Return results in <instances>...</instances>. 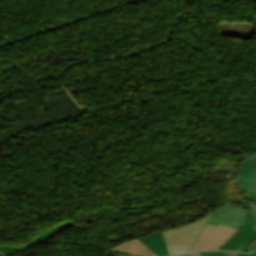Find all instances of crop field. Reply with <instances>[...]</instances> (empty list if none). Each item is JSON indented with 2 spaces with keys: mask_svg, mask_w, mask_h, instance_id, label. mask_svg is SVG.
Masks as SVG:
<instances>
[{
  "mask_svg": "<svg viewBox=\"0 0 256 256\" xmlns=\"http://www.w3.org/2000/svg\"><path fill=\"white\" fill-rule=\"evenodd\" d=\"M0 256H2V255H0Z\"/></svg>",
  "mask_w": 256,
  "mask_h": 256,
  "instance_id": "214f88e0",
  "label": "crop field"
},
{
  "mask_svg": "<svg viewBox=\"0 0 256 256\" xmlns=\"http://www.w3.org/2000/svg\"><path fill=\"white\" fill-rule=\"evenodd\" d=\"M238 230L221 224L218 227L208 224L196 240L191 251L217 249Z\"/></svg>",
  "mask_w": 256,
  "mask_h": 256,
  "instance_id": "ac0d7876",
  "label": "crop field"
},
{
  "mask_svg": "<svg viewBox=\"0 0 256 256\" xmlns=\"http://www.w3.org/2000/svg\"><path fill=\"white\" fill-rule=\"evenodd\" d=\"M236 180L242 190L251 188L256 181V163L244 160Z\"/></svg>",
  "mask_w": 256,
  "mask_h": 256,
  "instance_id": "dd49c442",
  "label": "crop field"
},
{
  "mask_svg": "<svg viewBox=\"0 0 256 256\" xmlns=\"http://www.w3.org/2000/svg\"><path fill=\"white\" fill-rule=\"evenodd\" d=\"M18 249H20V248L0 245V250L4 253H12Z\"/></svg>",
  "mask_w": 256,
  "mask_h": 256,
  "instance_id": "3316defc",
  "label": "crop field"
},
{
  "mask_svg": "<svg viewBox=\"0 0 256 256\" xmlns=\"http://www.w3.org/2000/svg\"><path fill=\"white\" fill-rule=\"evenodd\" d=\"M214 256H225L223 251H212Z\"/></svg>",
  "mask_w": 256,
  "mask_h": 256,
  "instance_id": "cbeb9de0",
  "label": "crop field"
},
{
  "mask_svg": "<svg viewBox=\"0 0 256 256\" xmlns=\"http://www.w3.org/2000/svg\"><path fill=\"white\" fill-rule=\"evenodd\" d=\"M213 212L189 224L171 230L162 231L170 254L173 255L189 251L196 238L210 220Z\"/></svg>",
  "mask_w": 256,
  "mask_h": 256,
  "instance_id": "8a807250",
  "label": "crop field"
},
{
  "mask_svg": "<svg viewBox=\"0 0 256 256\" xmlns=\"http://www.w3.org/2000/svg\"><path fill=\"white\" fill-rule=\"evenodd\" d=\"M107 255H111V254H107ZM111 256H125V255H111Z\"/></svg>",
  "mask_w": 256,
  "mask_h": 256,
  "instance_id": "bc2a9ffb",
  "label": "crop field"
},
{
  "mask_svg": "<svg viewBox=\"0 0 256 256\" xmlns=\"http://www.w3.org/2000/svg\"><path fill=\"white\" fill-rule=\"evenodd\" d=\"M75 224L69 220V221H66L64 223H61L57 226H54L48 230H46L45 232L39 234L38 236H36L34 239H32L30 242H28L26 245L24 246H27V245H31V244H35V243H38V242H42V241H45L55 235H57L58 233L74 226Z\"/></svg>",
  "mask_w": 256,
  "mask_h": 256,
  "instance_id": "5a996713",
  "label": "crop field"
},
{
  "mask_svg": "<svg viewBox=\"0 0 256 256\" xmlns=\"http://www.w3.org/2000/svg\"><path fill=\"white\" fill-rule=\"evenodd\" d=\"M245 219V208L240 205H226L215 210L209 224L219 223L241 228Z\"/></svg>",
  "mask_w": 256,
  "mask_h": 256,
  "instance_id": "34b2d1b8",
  "label": "crop field"
},
{
  "mask_svg": "<svg viewBox=\"0 0 256 256\" xmlns=\"http://www.w3.org/2000/svg\"><path fill=\"white\" fill-rule=\"evenodd\" d=\"M243 197L250 198V199L256 201V191L251 192V193H249V194H246V195H244Z\"/></svg>",
  "mask_w": 256,
  "mask_h": 256,
  "instance_id": "d1516ede",
  "label": "crop field"
},
{
  "mask_svg": "<svg viewBox=\"0 0 256 256\" xmlns=\"http://www.w3.org/2000/svg\"><path fill=\"white\" fill-rule=\"evenodd\" d=\"M111 252H124L137 256H157L137 238L109 249Z\"/></svg>",
  "mask_w": 256,
  "mask_h": 256,
  "instance_id": "f4fd0767",
  "label": "crop field"
},
{
  "mask_svg": "<svg viewBox=\"0 0 256 256\" xmlns=\"http://www.w3.org/2000/svg\"><path fill=\"white\" fill-rule=\"evenodd\" d=\"M240 205H243L246 208V219L244 225L237 233L234 234L232 238L229 239L228 242L222 245L219 249L233 250L249 235L254 226V221L249 208L242 203H240Z\"/></svg>",
  "mask_w": 256,
  "mask_h": 256,
  "instance_id": "412701ff",
  "label": "crop field"
},
{
  "mask_svg": "<svg viewBox=\"0 0 256 256\" xmlns=\"http://www.w3.org/2000/svg\"><path fill=\"white\" fill-rule=\"evenodd\" d=\"M179 256H192L191 253H187V254H183V255H179Z\"/></svg>",
  "mask_w": 256,
  "mask_h": 256,
  "instance_id": "4a817a6b",
  "label": "crop field"
},
{
  "mask_svg": "<svg viewBox=\"0 0 256 256\" xmlns=\"http://www.w3.org/2000/svg\"><path fill=\"white\" fill-rule=\"evenodd\" d=\"M237 256H256V252H254V253H237Z\"/></svg>",
  "mask_w": 256,
  "mask_h": 256,
  "instance_id": "22f410ed",
  "label": "crop field"
},
{
  "mask_svg": "<svg viewBox=\"0 0 256 256\" xmlns=\"http://www.w3.org/2000/svg\"><path fill=\"white\" fill-rule=\"evenodd\" d=\"M192 254H193V256H200L199 252H194Z\"/></svg>",
  "mask_w": 256,
  "mask_h": 256,
  "instance_id": "733c2abd",
  "label": "crop field"
},
{
  "mask_svg": "<svg viewBox=\"0 0 256 256\" xmlns=\"http://www.w3.org/2000/svg\"><path fill=\"white\" fill-rule=\"evenodd\" d=\"M138 239L141 240L145 245H147L151 250H153L157 255L159 256L170 255L161 231L158 233L139 237Z\"/></svg>",
  "mask_w": 256,
  "mask_h": 256,
  "instance_id": "e52e79f7",
  "label": "crop field"
},
{
  "mask_svg": "<svg viewBox=\"0 0 256 256\" xmlns=\"http://www.w3.org/2000/svg\"><path fill=\"white\" fill-rule=\"evenodd\" d=\"M201 256H213L210 251L200 252Z\"/></svg>",
  "mask_w": 256,
  "mask_h": 256,
  "instance_id": "5142ce71",
  "label": "crop field"
},
{
  "mask_svg": "<svg viewBox=\"0 0 256 256\" xmlns=\"http://www.w3.org/2000/svg\"><path fill=\"white\" fill-rule=\"evenodd\" d=\"M244 159H245V158H244ZM246 159L256 162V154L249 155V156L246 157ZM253 190H256V182H255V184L253 185V187H252L250 190L247 191V193L250 192V191H253Z\"/></svg>",
  "mask_w": 256,
  "mask_h": 256,
  "instance_id": "28ad6ade",
  "label": "crop field"
},
{
  "mask_svg": "<svg viewBox=\"0 0 256 256\" xmlns=\"http://www.w3.org/2000/svg\"><path fill=\"white\" fill-rule=\"evenodd\" d=\"M235 201L243 202L247 206H249L255 220V226L253 231L235 250L245 251V252L256 250V204L249 201L241 200L238 198L235 199Z\"/></svg>",
  "mask_w": 256,
  "mask_h": 256,
  "instance_id": "d8731c3e",
  "label": "crop field"
},
{
  "mask_svg": "<svg viewBox=\"0 0 256 256\" xmlns=\"http://www.w3.org/2000/svg\"><path fill=\"white\" fill-rule=\"evenodd\" d=\"M224 253H225L226 256H236L235 252L230 253V252L224 251Z\"/></svg>",
  "mask_w": 256,
  "mask_h": 256,
  "instance_id": "d9b57169",
  "label": "crop field"
}]
</instances>
